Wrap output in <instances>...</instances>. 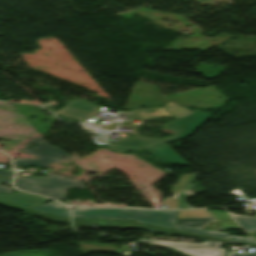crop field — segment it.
I'll return each instance as SVG.
<instances>
[{"instance_id":"obj_5","label":"crop field","mask_w":256,"mask_h":256,"mask_svg":"<svg viewBox=\"0 0 256 256\" xmlns=\"http://www.w3.org/2000/svg\"><path fill=\"white\" fill-rule=\"evenodd\" d=\"M100 108L85 101L75 99L66 103L65 107L62 110L56 111V113L86 121L87 118L93 119L95 113Z\"/></svg>"},{"instance_id":"obj_7","label":"crop field","mask_w":256,"mask_h":256,"mask_svg":"<svg viewBox=\"0 0 256 256\" xmlns=\"http://www.w3.org/2000/svg\"><path fill=\"white\" fill-rule=\"evenodd\" d=\"M0 200L26 208L37 206L48 201V199H45L43 197L30 195L22 192H18L14 195L0 194Z\"/></svg>"},{"instance_id":"obj_22","label":"crop field","mask_w":256,"mask_h":256,"mask_svg":"<svg viewBox=\"0 0 256 256\" xmlns=\"http://www.w3.org/2000/svg\"><path fill=\"white\" fill-rule=\"evenodd\" d=\"M239 256H256V254H239Z\"/></svg>"},{"instance_id":"obj_4","label":"crop field","mask_w":256,"mask_h":256,"mask_svg":"<svg viewBox=\"0 0 256 256\" xmlns=\"http://www.w3.org/2000/svg\"><path fill=\"white\" fill-rule=\"evenodd\" d=\"M74 218L137 219L139 210L75 208Z\"/></svg>"},{"instance_id":"obj_2","label":"crop field","mask_w":256,"mask_h":256,"mask_svg":"<svg viewBox=\"0 0 256 256\" xmlns=\"http://www.w3.org/2000/svg\"><path fill=\"white\" fill-rule=\"evenodd\" d=\"M38 141H41V142L39 143ZM31 143H36V145L30 150L26 149L28 145ZM27 147L21 149V151L28 154L40 156V159H13L15 166L36 165L37 167L48 168L49 167L47 166L48 162L58 163V162H62L65 157L67 159L70 158L60 149L47 145L45 141L40 137L33 139L31 142H29L27 144Z\"/></svg>"},{"instance_id":"obj_9","label":"crop field","mask_w":256,"mask_h":256,"mask_svg":"<svg viewBox=\"0 0 256 256\" xmlns=\"http://www.w3.org/2000/svg\"><path fill=\"white\" fill-rule=\"evenodd\" d=\"M137 228H143V229H148L160 233H165V234H172L176 236H182V237H188V238H195V239H203V240H213V241H223L226 242L225 240H219V239H214V238H209V237H203V236H198V235H193V234H187V233H182V232H177V231H171V230H166V229H161V228H155V227H150V226H145V225H139L136 224Z\"/></svg>"},{"instance_id":"obj_18","label":"crop field","mask_w":256,"mask_h":256,"mask_svg":"<svg viewBox=\"0 0 256 256\" xmlns=\"http://www.w3.org/2000/svg\"><path fill=\"white\" fill-rule=\"evenodd\" d=\"M0 183H8V184H10L11 180L0 178ZM0 192H5V193L11 194L13 192V188H3V187H0Z\"/></svg>"},{"instance_id":"obj_23","label":"crop field","mask_w":256,"mask_h":256,"mask_svg":"<svg viewBox=\"0 0 256 256\" xmlns=\"http://www.w3.org/2000/svg\"><path fill=\"white\" fill-rule=\"evenodd\" d=\"M227 256H238V254H236V253H231V252H228Z\"/></svg>"},{"instance_id":"obj_13","label":"crop field","mask_w":256,"mask_h":256,"mask_svg":"<svg viewBox=\"0 0 256 256\" xmlns=\"http://www.w3.org/2000/svg\"><path fill=\"white\" fill-rule=\"evenodd\" d=\"M231 214V213H230ZM246 232L256 230V218L231 214Z\"/></svg>"},{"instance_id":"obj_6","label":"crop field","mask_w":256,"mask_h":256,"mask_svg":"<svg viewBox=\"0 0 256 256\" xmlns=\"http://www.w3.org/2000/svg\"><path fill=\"white\" fill-rule=\"evenodd\" d=\"M177 211L140 210L138 222L173 229Z\"/></svg>"},{"instance_id":"obj_24","label":"crop field","mask_w":256,"mask_h":256,"mask_svg":"<svg viewBox=\"0 0 256 256\" xmlns=\"http://www.w3.org/2000/svg\"><path fill=\"white\" fill-rule=\"evenodd\" d=\"M250 242H251V243H256V241H255L254 238H251V239H250Z\"/></svg>"},{"instance_id":"obj_3","label":"crop field","mask_w":256,"mask_h":256,"mask_svg":"<svg viewBox=\"0 0 256 256\" xmlns=\"http://www.w3.org/2000/svg\"><path fill=\"white\" fill-rule=\"evenodd\" d=\"M141 243H149L171 247L176 250L182 251L183 254L189 256H225V249H219L222 242L206 241L202 244L187 243V242H169L150 239H138ZM226 244H238L228 241Z\"/></svg>"},{"instance_id":"obj_14","label":"crop field","mask_w":256,"mask_h":256,"mask_svg":"<svg viewBox=\"0 0 256 256\" xmlns=\"http://www.w3.org/2000/svg\"><path fill=\"white\" fill-rule=\"evenodd\" d=\"M197 174H187L182 177V179L179 181V183L174 188V192L181 193L183 190L188 188L190 183L196 178Z\"/></svg>"},{"instance_id":"obj_12","label":"crop field","mask_w":256,"mask_h":256,"mask_svg":"<svg viewBox=\"0 0 256 256\" xmlns=\"http://www.w3.org/2000/svg\"><path fill=\"white\" fill-rule=\"evenodd\" d=\"M175 229L182 230V231H187V232H191V233H196V234H201V235H206V236H211V237H215V238L225 239V240H227L228 236H229L228 233L206 231V230L189 228V227H184V226H179V225H177Z\"/></svg>"},{"instance_id":"obj_21","label":"crop field","mask_w":256,"mask_h":256,"mask_svg":"<svg viewBox=\"0 0 256 256\" xmlns=\"http://www.w3.org/2000/svg\"><path fill=\"white\" fill-rule=\"evenodd\" d=\"M0 204H2L4 206H7V207H10V208H14V209H18V210L24 211V208H20V207H17V206L9 205V204L2 203V202H0Z\"/></svg>"},{"instance_id":"obj_11","label":"crop field","mask_w":256,"mask_h":256,"mask_svg":"<svg viewBox=\"0 0 256 256\" xmlns=\"http://www.w3.org/2000/svg\"><path fill=\"white\" fill-rule=\"evenodd\" d=\"M208 213L211 216V218L178 219L177 224L202 229L210 221L216 222V220L212 217L210 212Z\"/></svg>"},{"instance_id":"obj_19","label":"crop field","mask_w":256,"mask_h":256,"mask_svg":"<svg viewBox=\"0 0 256 256\" xmlns=\"http://www.w3.org/2000/svg\"><path fill=\"white\" fill-rule=\"evenodd\" d=\"M228 240L248 243V238L233 235H230Z\"/></svg>"},{"instance_id":"obj_17","label":"crop field","mask_w":256,"mask_h":256,"mask_svg":"<svg viewBox=\"0 0 256 256\" xmlns=\"http://www.w3.org/2000/svg\"><path fill=\"white\" fill-rule=\"evenodd\" d=\"M164 205L169 206V208H177V199L167 198L163 201Z\"/></svg>"},{"instance_id":"obj_8","label":"crop field","mask_w":256,"mask_h":256,"mask_svg":"<svg viewBox=\"0 0 256 256\" xmlns=\"http://www.w3.org/2000/svg\"><path fill=\"white\" fill-rule=\"evenodd\" d=\"M79 227H134L135 221L74 220Z\"/></svg>"},{"instance_id":"obj_16","label":"crop field","mask_w":256,"mask_h":256,"mask_svg":"<svg viewBox=\"0 0 256 256\" xmlns=\"http://www.w3.org/2000/svg\"><path fill=\"white\" fill-rule=\"evenodd\" d=\"M25 213L38 215V216H44V217H51L54 221H58V222H62V223H70L69 219L60 218V217L51 216V215H46V214L38 213V212H35V211H31V210H28V209L25 210Z\"/></svg>"},{"instance_id":"obj_15","label":"crop field","mask_w":256,"mask_h":256,"mask_svg":"<svg viewBox=\"0 0 256 256\" xmlns=\"http://www.w3.org/2000/svg\"><path fill=\"white\" fill-rule=\"evenodd\" d=\"M210 217L204 210L179 211L178 218Z\"/></svg>"},{"instance_id":"obj_20","label":"crop field","mask_w":256,"mask_h":256,"mask_svg":"<svg viewBox=\"0 0 256 256\" xmlns=\"http://www.w3.org/2000/svg\"><path fill=\"white\" fill-rule=\"evenodd\" d=\"M13 171H5L0 169V175L5 177H13Z\"/></svg>"},{"instance_id":"obj_1","label":"crop field","mask_w":256,"mask_h":256,"mask_svg":"<svg viewBox=\"0 0 256 256\" xmlns=\"http://www.w3.org/2000/svg\"><path fill=\"white\" fill-rule=\"evenodd\" d=\"M15 186L18 189L43 194L57 200H64L67 195L66 191L71 187L86 189L82 182H75L62 175H52L49 178H16ZM61 189L64 191L60 192Z\"/></svg>"},{"instance_id":"obj_10","label":"crop field","mask_w":256,"mask_h":256,"mask_svg":"<svg viewBox=\"0 0 256 256\" xmlns=\"http://www.w3.org/2000/svg\"><path fill=\"white\" fill-rule=\"evenodd\" d=\"M63 207H62V205L54 202V203H50V204H46V205H42V206L30 208V209H34V210L62 216L65 218H69L68 211L66 209H64Z\"/></svg>"}]
</instances>
